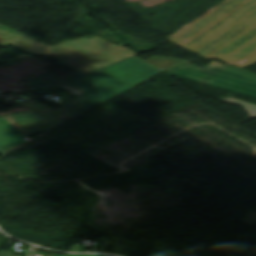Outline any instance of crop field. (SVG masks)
Instances as JSON below:
<instances>
[{
	"label": "crop field",
	"mask_w": 256,
	"mask_h": 256,
	"mask_svg": "<svg viewBox=\"0 0 256 256\" xmlns=\"http://www.w3.org/2000/svg\"><path fill=\"white\" fill-rule=\"evenodd\" d=\"M67 256H104V255H71V254H67Z\"/></svg>",
	"instance_id": "11"
},
{
	"label": "crop field",
	"mask_w": 256,
	"mask_h": 256,
	"mask_svg": "<svg viewBox=\"0 0 256 256\" xmlns=\"http://www.w3.org/2000/svg\"><path fill=\"white\" fill-rule=\"evenodd\" d=\"M167 73L256 98V75L229 65L224 66L212 61L209 65L200 68L184 63L167 70Z\"/></svg>",
	"instance_id": "4"
},
{
	"label": "crop field",
	"mask_w": 256,
	"mask_h": 256,
	"mask_svg": "<svg viewBox=\"0 0 256 256\" xmlns=\"http://www.w3.org/2000/svg\"><path fill=\"white\" fill-rule=\"evenodd\" d=\"M147 62H150L152 64H154L155 66H157L159 69L164 70L178 62H180L181 60H176V59H168V58H160V57H152L148 60H146Z\"/></svg>",
	"instance_id": "7"
},
{
	"label": "crop field",
	"mask_w": 256,
	"mask_h": 256,
	"mask_svg": "<svg viewBox=\"0 0 256 256\" xmlns=\"http://www.w3.org/2000/svg\"><path fill=\"white\" fill-rule=\"evenodd\" d=\"M24 106L32 110L2 118L25 136L47 131L64 122L65 118L75 116L63 108L52 110L34 100Z\"/></svg>",
	"instance_id": "5"
},
{
	"label": "crop field",
	"mask_w": 256,
	"mask_h": 256,
	"mask_svg": "<svg viewBox=\"0 0 256 256\" xmlns=\"http://www.w3.org/2000/svg\"><path fill=\"white\" fill-rule=\"evenodd\" d=\"M9 44L31 54L52 55L60 64L85 74L135 55L127 48L97 36L91 39L80 37L50 46L0 25V46Z\"/></svg>",
	"instance_id": "3"
},
{
	"label": "crop field",
	"mask_w": 256,
	"mask_h": 256,
	"mask_svg": "<svg viewBox=\"0 0 256 256\" xmlns=\"http://www.w3.org/2000/svg\"><path fill=\"white\" fill-rule=\"evenodd\" d=\"M60 87H64V88H66V89H68V90L74 92V93L77 94V95H78L79 91L82 89V88L79 87V88H77V89H75V90H72V89H69V88H67V87H65V86H63V85H61Z\"/></svg>",
	"instance_id": "9"
},
{
	"label": "crop field",
	"mask_w": 256,
	"mask_h": 256,
	"mask_svg": "<svg viewBox=\"0 0 256 256\" xmlns=\"http://www.w3.org/2000/svg\"><path fill=\"white\" fill-rule=\"evenodd\" d=\"M158 71L160 70L140 58L132 57L88 75L77 73L63 80L45 74L26 86H36L45 91L61 84L73 89L83 87L79 96L63 105L78 114Z\"/></svg>",
	"instance_id": "2"
},
{
	"label": "crop field",
	"mask_w": 256,
	"mask_h": 256,
	"mask_svg": "<svg viewBox=\"0 0 256 256\" xmlns=\"http://www.w3.org/2000/svg\"><path fill=\"white\" fill-rule=\"evenodd\" d=\"M220 100L226 101V102H230L233 104H237V105H241L243 106L250 114V118L252 117H256V105L253 104H249L240 100H236L230 97H225V98H219Z\"/></svg>",
	"instance_id": "8"
},
{
	"label": "crop field",
	"mask_w": 256,
	"mask_h": 256,
	"mask_svg": "<svg viewBox=\"0 0 256 256\" xmlns=\"http://www.w3.org/2000/svg\"><path fill=\"white\" fill-rule=\"evenodd\" d=\"M11 253L8 251H0V256H12Z\"/></svg>",
	"instance_id": "10"
},
{
	"label": "crop field",
	"mask_w": 256,
	"mask_h": 256,
	"mask_svg": "<svg viewBox=\"0 0 256 256\" xmlns=\"http://www.w3.org/2000/svg\"><path fill=\"white\" fill-rule=\"evenodd\" d=\"M24 137L0 117V154L27 141Z\"/></svg>",
	"instance_id": "6"
},
{
	"label": "crop field",
	"mask_w": 256,
	"mask_h": 256,
	"mask_svg": "<svg viewBox=\"0 0 256 256\" xmlns=\"http://www.w3.org/2000/svg\"><path fill=\"white\" fill-rule=\"evenodd\" d=\"M241 68L256 62V0H226L168 39Z\"/></svg>",
	"instance_id": "1"
}]
</instances>
